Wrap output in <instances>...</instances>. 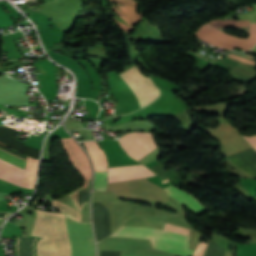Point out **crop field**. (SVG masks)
I'll return each mask as SVG.
<instances>
[{
  "mask_svg": "<svg viewBox=\"0 0 256 256\" xmlns=\"http://www.w3.org/2000/svg\"><path fill=\"white\" fill-rule=\"evenodd\" d=\"M190 229L166 223L163 230L122 226L111 237H139L151 239L152 247L171 253L192 256L193 250L188 249ZM207 244L197 246L193 256H204Z\"/></svg>",
  "mask_w": 256,
  "mask_h": 256,
  "instance_id": "8a807250",
  "label": "crop field"
},
{
  "mask_svg": "<svg viewBox=\"0 0 256 256\" xmlns=\"http://www.w3.org/2000/svg\"><path fill=\"white\" fill-rule=\"evenodd\" d=\"M1 146H7L0 143ZM0 158L24 169L26 160L0 149Z\"/></svg>",
  "mask_w": 256,
  "mask_h": 256,
  "instance_id": "28ad6ade",
  "label": "crop field"
},
{
  "mask_svg": "<svg viewBox=\"0 0 256 256\" xmlns=\"http://www.w3.org/2000/svg\"><path fill=\"white\" fill-rule=\"evenodd\" d=\"M103 149H100L96 141L84 142L93 164L95 171L107 170L106 167L140 164L130 158L117 141L105 140L100 142Z\"/></svg>",
  "mask_w": 256,
  "mask_h": 256,
  "instance_id": "ac0d7876",
  "label": "crop field"
},
{
  "mask_svg": "<svg viewBox=\"0 0 256 256\" xmlns=\"http://www.w3.org/2000/svg\"><path fill=\"white\" fill-rule=\"evenodd\" d=\"M72 256H95L90 223H77L67 217Z\"/></svg>",
  "mask_w": 256,
  "mask_h": 256,
  "instance_id": "34b2d1b8",
  "label": "crop field"
},
{
  "mask_svg": "<svg viewBox=\"0 0 256 256\" xmlns=\"http://www.w3.org/2000/svg\"><path fill=\"white\" fill-rule=\"evenodd\" d=\"M120 252H101V256H119Z\"/></svg>",
  "mask_w": 256,
  "mask_h": 256,
  "instance_id": "4a817a6b",
  "label": "crop field"
},
{
  "mask_svg": "<svg viewBox=\"0 0 256 256\" xmlns=\"http://www.w3.org/2000/svg\"><path fill=\"white\" fill-rule=\"evenodd\" d=\"M249 52H251V53H255V54H256V47H255V48H253L252 50H250Z\"/></svg>",
  "mask_w": 256,
  "mask_h": 256,
  "instance_id": "214f88e0",
  "label": "crop field"
},
{
  "mask_svg": "<svg viewBox=\"0 0 256 256\" xmlns=\"http://www.w3.org/2000/svg\"><path fill=\"white\" fill-rule=\"evenodd\" d=\"M207 24H209L221 31H223V29L225 27H236L239 30H242V31H245L248 33L249 26H250V20H237V21H235V20H223V21L213 20Z\"/></svg>",
  "mask_w": 256,
  "mask_h": 256,
  "instance_id": "3316defc",
  "label": "crop field"
},
{
  "mask_svg": "<svg viewBox=\"0 0 256 256\" xmlns=\"http://www.w3.org/2000/svg\"><path fill=\"white\" fill-rule=\"evenodd\" d=\"M150 169H152L153 171H155L157 173V175L160 177L161 181L167 180V177L165 176V174L162 171L165 168L161 164L153 166V167H150ZM168 181L169 180L163 181L162 183L168 182Z\"/></svg>",
  "mask_w": 256,
  "mask_h": 256,
  "instance_id": "cbeb9de0",
  "label": "crop field"
},
{
  "mask_svg": "<svg viewBox=\"0 0 256 256\" xmlns=\"http://www.w3.org/2000/svg\"><path fill=\"white\" fill-rule=\"evenodd\" d=\"M243 137L247 140V142H248L253 148L256 149V135L253 136V137H245V136H243Z\"/></svg>",
  "mask_w": 256,
  "mask_h": 256,
  "instance_id": "d9b57169",
  "label": "crop field"
},
{
  "mask_svg": "<svg viewBox=\"0 0 256 256\" xmlns=\"http://www.w3.org/2000/svg\"><path fill=\"white\" fill-rule=\"evenodd\" d=\"M106 174H107V171L95 172L94 189L106 191Z\"/></svg>",
  "mask_w": 256,
  "mask_h": 256,
  "instance_id": "d1516ede",
  "label": "crop field"
},
{
  "mask_svg": "<svg viewBox=\"0 0 256 256\" xmlns=\"http://www.w3.org/2000/svg\"><path fill=\"white\" fill-rule=\"evenodd\" d=\"M12 24H14V22L2 10H0V29Z\"/></svg>",
  "mask_w": 256,
  "mask_h": 256,
  "instance_id": "22f410ed",
  "label": "crop field"
},
{
  "mask_svg": "<svg viewBox=\"0 0 256 256\" xmlns=\"http://www.w3.org/2000/svg\"><path fill=\"white\" fill-rule=\"evenodd\" d=\"M211 55H213V56H215V57H216V55H214V54H211Z\"/></svg>",
  "mask_w": 256,
  "mask_h": 256,
  "instance_id": "a9b5d70f",
  "label": "crop field"
},
{
  "mask_svg": "<svg viewBox=\"0 0 256 256\" xmlns=\"http://www.w3.org/2000/svg\"><path fill=\"white\" fill-rule=\"evenodd\" d=\"M0 70L2 71L1 67H0ZM1 71H0V73H1ZM2 73H3V71H2Z\"/></svg>",
  "mask_w": 256,
  "mask_h": 256,
  "instance_id": "00972430",
  "label": "crop field"
},
{
  "mask_svg": "<svg viewBox=\"0 0 256 256\" xmlns=\"http://www.w3.org/2000/svg\"><path fill=\"white\" fill-rule=\"evenodd\" d=\"M108 183L119 182L137 178H143L148 176H154L155 174L147 169L143 165H134V166H122L108 168Z\"/></svg>",
  "mask_w": 256,
  "mask_h": 256,
  "instance_id": "e52e79f7",
  "label": "crop field"
},
{
  "mask_svg": "<svg viewBox=\"0 0 256 256\" xmlns=\"http://www.w3.org/2000/svg\"><path fill=\"white\" fill-rule=\"evenodd\" d=\"M211 59V58H210ZM213 60V59H212Z\"/></svg>",
  "mask_w": 256,
  "mask_h": 256,
  "instance_id": "730fd06b",
  "label": "crop field"
},
{
  "mask_svg": "<svg viewBox=\"0 0 256 256\" xmlns=\"http://www.w3.org/2000/svg\"><path fill=\"white\" fill-rule=\"evenodd\" d=\"M24 170L0 160V179L21 187Z\"/></svg>",
  "mask_w": 256,
  "mask_h": 256,
  "instance_id": "5a996713",
  "label": "crop field"
},
{
  "mask_svg": "<svg viewBox=\"0 0 256 256\" xmlns=\"http://www.w3.org/2000/svg\"><path fill=\"white\" fill-rule=\"evenodd\" d=\"M197 53H198V52H197ZM197 53H195V55H197V56H199V57H201V58L203 57V56H201V55H199V54H197Z\"/></svg>",
  "mask_w": 256,
  "mask_h": 256,
  "instance_id": "dafd665d",
  "label": "crop field"
},
{
  "mask_svg": "<svg viewBox=\"0 0 256 256\" xmlns=\"http://www.w3.org/2000/svg\"><path fill=\"white\" fill-rule=\"evenodd\" d=\"M120 76L136 94L140 107L151 103L159 97L160 90L150 78L144 77L136 66L128 69Z\"/></svg>",
  "mask_w": 256,
  "mask_h": 256,
  "instance_id": "412701ff",
  "label": "crop field"
},
{
  "mask_svg": "<svg viewBox=\"0 0 256 256\" xmlns=\"http://www.w3.org/2000/svg\"><path fill=\"white\" fill-rule=\"evenodd\" d=\"M118 141L129 156L138 161L157 148L152 133H128Z\"/></svg>",
  "mask_w": 256,
  "mask_h": 256,
  "instance_id": "f4fd0767",
  "label": "crop field"
},
{
  "mask_svg": "<svg viewBox=\"0 0 256 256\" xmlns=\"http://www.w3.org/2000/svg\"><path fill=\"white\" fill-rule=\"evenodd\" d=\"M61 140L63 148L68 154L74 167L84 178L83 187H86L88 179H91V169L86 154L72 138Z\"/></svg>",
  "mask_w": 256,
  "mask_h": 256,
  "instance_id": "dd49c442",
  "label": "crop field"
},
{
  "mask_svg": "<svg viewBox=\"0 0 256 256\" xmlns=\"http://www.w3.org/2000/svg\"><path fill=\"white\" fill-rule=\"evenodd\" d=\"M0 109L6 111L7 116L10 115V114L13 115V116H15V117H17V118L20 116V115H19L18 113H16L14 110L8 109V108H6V107L3 106V105H0ZM0 120H1V119H0ZM0 125H2L1 122H0Z\"/></svg>",
  "mask_w": 256,
  "mask_h": 256,
  "instance_id": "5142ce71",
  "label": "crop field"
},
{
  "mask_svg": "<svg viewBox=\"0 0 256 256\" xmlns=\"http://www.w3.org/2000/svg\"><path fill=\"white\" fill-rule=\"evenodd\" d=\"M204 50V49H203ZM206 51V50H205ZM207 52H210V51H207Z\"/></svg>",
  "mask_w": 256,
  "mask_h": 256,
  "instance_id": "4177f3b9",
  "label": "crop field"
},
{
  "mask_svg": "<svg viewBox=\"0 0 256 256\" xmlns=\"http://www.w3.org/2000/svg\"><path fill=\"white\" fill-rule=\"evenodd\" d=\"M17 237H26V236H16L15 237V244H14L15 256H17V251H16V238ZM26 238H29V237H26ZM36 238H38V239L34 242V256H36V242L40 239L39 237H36Z\"/></svg>",
  "mask_w": 256,
  "mask_h": 256,
  "instance_id": "733c2abd",
  "label": "crop field"
},
{
  "mask_svg": "<svg viewBox=\"0 0 256 256\" xmlns=\"http://www.w3.org/2000/svg\"><path fill=\"white\" fill-rule=\"evenodd\" d=\"M205 60H207V61H209L210 63H212V64H214L215 62H213V61H211V60H209V59H205Z\"/></svg>",
  "mask_w": 256,
  "mask_h": 256,
  "instance_id": "92a150f3",
  "label": "crop field"
},
{
  "mask_svg": "<svg viewBox=\"0 0 256 256\" xmlns=\"http://www.w3.org/2000/svg\"><path fill=\"white\" fill-rule=\"evenodd\" d=\"M229 56H233V57H237V58H241V59H244V60H248V61H253V59H249V58H245V57H242V56H238L236 54H233V53H230Z\"/></svg>",
  "mask_w": 256,
  "mask_h": 256,
  "instance_id": "bc2a9ffb",
  "label": "crop field"
},
{
  "mask_svg": "<svg viewBox=\"0 0 256 256\" xmlns=\"http://www.w3.org/2000/svg\"><path fill=\"white\" fill-rule=\"evenodd\" d=\"M169 196L178 199L181 203L190 209L195 214H199L206 210L197 200L191 197L189 194L176 189L173 186L164 188Z\"/></svg>",
  "mask_w": 256,
  "mask_h": 256,
  "instance_id": "d8731c3e",
  "label": "crop field"
}]
</instances>
